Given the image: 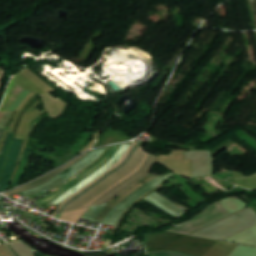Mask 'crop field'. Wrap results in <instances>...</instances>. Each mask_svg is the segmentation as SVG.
<instances>
[{"instance_id": "obj_15", "label": "crop field", "mask_w": 256, "mask_h": 256, "mask_svg": "<svg viewBox=\"0 0 256 256\" xmlns=\"http://www.w3.org/2000/svg\"><path fill=\"white\" fill-rule=\"evenodd\" d=\"M2 78H3V72H0V89H1V84H2Z\"/></svg>"}, {"instance_id": "obj_5", "label": "crop field", "mask_w": 256, "mask_h": 256, "mask_svg": "<svg viewBox=\"0 0 256 256\" xmlns=\"http://www.w3.org/2000/svg\"><path fill=\"white\" fill-rule=\"evenodd\" d=\"M23 141L24 140H18V139L14 140L13 147H12V150L8 159V163H7V166L2 178V182L0 185V192L6 191L8 189V186L11 181L12 173L15 167V163H16Z\"/></svg>"}, {"instance_id": "obj_9", "label": "crop field", "mask_w": 256, "mask_h": 256, "mask_svg": "<svg viewBox=\"0 0 256 256\" xmlns=\"http://www.w3.org/2000/svg\"><path fill=\"white\" fill-rule=\"evenodd\" d=\"M137 143H133L132 146L126 151V153L122 156V158L114 165L112 166L108 171H106L104 174H102L100 177H98L94 182H92L91 184L87 185L86 187H84L83 189H81L80 191H78L77 193H75L74 195H72L71 197H69L67 200H65L62 204H60L57 208V210L51 215L54 216L59 209L66 203L68 202L71 198H73L75 195H77L79 192L85 190L86 188H88L89 186L93 185L95 182H97L99 179H101L103 176H105L106 174H108L109 172H111L113 169H115L117 166H119L127 157V155L129 154V152L131 151V149L136 145Z\"/></svg>"}, {"instance_id": "obj_6", "label": "crop field", "mask_w": 256, "mask_h": 256, "mask_svg": "<svg viewBox=\"0 0 256 256\" xmlns=\"http://www.w3.org/2000/svg\"><path fill=\"white\" fill-rule=\"evenodd\" d=\"M147 202L154 205L155 207L161 209L162 211L166 212L167 214L177 217L184 211L177 208L175 205H173L171 202H169L167 199L159 195L158 193H153L149 195L146 199Z\"/></svg>"}, {"instance_id": "obj_11", "label": "crop field", "mask_w": 256, "mask_h": 256, "mask_svg": "<svg viewBox=\"0 0 256 256\" xmlns=\"http://www.w3.org/2000/svg\"><path fill=\"white\" fill-rule=\"evenodd\" d=\"M87 209L88 208L63 214L60 219L77 224L80 217L86 212Z\"/></svg>"}, {"instance_id": "obj_10", "label": "crop field", "mask_w": 256, "mask_h": 256, "mask_svg": "<svg viewBox=\"0 0 256 256\" xmlns=\"http://www.w3.org/2000/svg\"><path fill=\"white\" fill-rule=\"evenodd\" d=\"M31 151H32V148H29L27 146L25 147V150H24V153H23V156H22V159H21L16 177L14 179V182H13V185H12L11 188L16 187L18 185V183L20 181V178H21V175H22V172L24 170L25 164L28 160V157H29Z\"/></svg>"}, {"instance_id": "obj_13", "label": "crop field", "mask_w": 256, "mask_h": 256, "mask_svg": "<svg viewBox=\"0 0 256 256\" xmlns=\"http://www.w3.org/2000/svg\"><path fill=\"white\" fill-rule=\"evenodd\" d=\"M148 256H182L170 252H160V253H153V254H148Z\"/></svg>"}, {"instance_id": "obj_14", "label": "crop field", "mask_w": 256, "mask_h": 256, "mask_svg": "<svg viewBox=\"0 0 256 256\" xmlns=\"http://www.w3.org/2000/svg\"><path fill=\"white\" fill-rule=\"evenodd\" d=\"M13 139H11V142H10V145H9V148H8V151H7V154H6V157H5V160H4V163H3V166H2V169H1V172H0V182H1V178H2V175H3V171H4V168H5V164H6V161H7V157H8V154H9V150H10V147H11V144L13 142Z\"/></svg>"}, {"instance_id": "obj_16", "label": "crop field", "mask_w": 256, "mask_h": 256, "mask_svg": "<svg viewBox=\"0 0 256 256\" xmlns=\"http://www.w3.org/2000/svg\"><path fill=\"white\" fill-rule=\"evenodd\" d=\"M2 132H3V129H0V136H1Z\"/></svg>"}, {"instance_id": "obj_3", "label": "crop field", "mask_w": 256, "mask_h": 256, "mask_svg": "<svg viewBox=\"0 0 256 256\" xmlns=\"http://www.w3.org/2000/svg\"><path fill=\"white\" fill-rule=\"evenodd\" d=\"M120 146H121V144L112 146L111 149L108 151V153L105 155V157L98 164H96L94 167L89 169L87 172H85L84 174H82L81 176H79L78 178H76L75 180H73L72 182H70L69 184H67L63 188H61L60 190L54 192L53 194H51L48 197H46L44 199H41V200H38L36 202L45 205V204L49 203L50 201L54 200L55 198L59 197L66 190L75 186L76 184H78L79 182H81L82 180L87 178L89 175H91L92 173H94L95 171L100 169L102 166H104L112 158V156L115 154V152L118 150V148Z\"/></svg>"}, {"instance_id": "obj_12", "label": "crop field", "mask_w": 256, "mask_h": 256, "mask_svg": "<svg viewBox=\"0 0 256 256\" xmlns=\"http://www.w3.org/2000/svg\"><path fill=\"white\" fill-rule=\"evenodd\" d=\"M11 135L12 134H9L7 139H6V142H5V146H4V149H3V153H2V156H1V159H0V169H1V166H2V163H3V159H4V156H5V153H6V150H7V147H8V144H9V140L11 138Z\"/></svg>"}, {"instance_id": "obj_8", "label": "crop field", "mask_w": 256, "mask_h": 256, "mask_svg": "<svg viewBox=\"0 0 256 256\" xmlns=\"http://www.w3.org/2000/svg\"><path fill=\"white\" fill-rule=\"evenodd\" d=\"M142 143H138L130 152V154L128 155V157L126 158V160L119 166L117 167L115 170H113L111 173H109L108 175H106L105 177H103L101 180H99L97 183H95L93 186H91L90 188L86 189L85 191L79 193L77 196H75L73 199H71L67 204H65L61 210L57 213H62V211L68 207L73 201H75L78 197H80L81 195H83L84 193H86L87 191H89L90 189H92L94 186H96L97 184H99L100 182H102L103 180H105L106 178H108L111 174H113L114 172L118 171L119 169H121L132 157L133 153L135 152V150L141 145Z\"/></svg>"}, {"instance_id": "obj_7", "label": "crop field", "mask_w": 256, "mask_h": 256, "mask_svg": "<svg viewBox=\"0 0 256 256\" xmlns=\"http://www.w3.org/2000/svg\"><path fill=\"white\" fill-rule=\"evenodd\" d=\"M85 155H86V154H85ZM85 155L81 156L80 158L74 160V161L71 162L70 164L64 166L63 168H61V169H59V170H57V171H55V172H53V173H51V174H49V175H47V176H45V177H43V178H41V179H39V180H37V181L31 183V184H29V185H27V186H25V187L18 188V189H15V190L11 191V192L5 193V195L9 196V195H13V194L19 193V192L24 191V190H28V189L34 188V187H36V186L42 184L43 182H45V181H47V180L53 178L54 176H56V175L62 173L63 171H65L66 169H68L71 165H73L74 163H76L77 161H79L80 159H82Z\"/></svg>"}, {"instance_id": "obj_1", "label": "crop field", "mask_w": 256, "mask_h": 256, "mask_svg": "<svg viewBox=\"0 0 256 256\" xmlns=\"http://www.w3.org/2000/svg\"><path fill=\"white\" fill-rule=\"evenodd\" d=\"M171 175L172 174H168L163 177L150 175L127 189L117 200H113L105 205L90 207L82 218L113 225L115 228L112 233H116L127 213L139 201L143 200L156 190L161 189L158 186L166 181Z\"/></svg>"}, {"instance_id": "obj_2", "label": "crop field", "mask_w": 256, "mask_h": 256, "mask_svg": "<svg viewBox=\"0 0 256 256\" xmlns=\"http://www.w3.org/2000/svg\"><path fill=\"white\" fill-rule=\"evenodd\" d=\"M150 154L139 147L134 153L132 159L118 172L111 177L97 185L95 188L81 196L74 203H72L64 212L91 206L99 197L106 194L119 183L123 182L133 173L138 171L144 164Z\"/></svg>"}, {"instance_id": "obj_4", "label": "crop field", "mask_w": 256, "mask_h": 256, "mask_svg": "<svg viewBox=\"0 0 256 256\" xmlns=\"http://www.w3.org/2000/svg\"><path fill=\"white\" fill-rule=\"evenodd\" d=\"M131 144L132 143L122 144V146L119 148V150L114 155V157L103 168H101L100 170L95 172L93 175H91L90 177L85 179L83 182H81V183L79 182L80 184H78V185L76 184L77 186L70 189L69 191H67L62 196H60L59 198H57L55 201H53L51 203L58 206L67 197H69L73 193L77 192L78 190H80L87 184L91 183L92 181H94L98 176H100L102 173H104L106 170H108L112 165H114L120 159V157L125 153V151L130 147Z\"/></svg>"}]
</instances>
